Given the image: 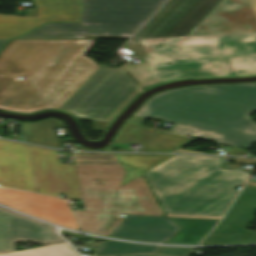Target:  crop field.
I'll use <instances>...</instances> for the list:
<instances>
[{
    "label": "crop field",
    "mask_w": 256,
    "mask_h": 256,
    "mask_svg": "<svg viewBox=\"0 0 256 256\" xmlns=\"http://www.w3.org/2000/svg\"><path fill=\"white\" fill-rule=\"evenodd\" d=\"M143 87L186 77L256 74V0H169L123 46Z\"/></svg>",
    "instance_id": "obj_1"
},
{
    "label": "crop field",
    "mask_w": 256,
    "mask_h": 256,
    "mask_svg": "<svg viewBox=\"0 0 256 256\" xmlns=\"http://www.w3.org/2000/svg\"><path fill=\"white\" fill-rule=\"evenodd\" d=\"M95 40H12L0 52V110L58 109L101 67L83 55Z\"/></svg>",
    "instance_id": "obj_2"
},
{
    "label": "crop field",
    "mask_w": 256,
    "mask_h": 256,
    "mask_svg": "<svg viewBox=\"0 0 256 256\" xmlns=\"http://www.w3.org/2000/svg\"><path fill=\"white\" fill-rule=\"evenodd\" d=\"M256 83L207 85L160 93L135 116L175 124L171 132L249 149L256 142Z\"/></svg>",
    "instance_id": "obj_3"
},
{
    "label": "crop field",
    "mask_w": 256,
    "mask_h": 256,
    "mask_svg": "<svg viewBox=\"0 0 256 256\" xmlns=\"http://www.w3.org/2000/svg\"><path fill=\"white\" fill-rule=\"evenodd\" d=\"M220 158L175 155L144 173L167 216L221 219L248 173L220 169Z\"/></svg>",
    "instance_id": "obj_4"
},
{
    "label": "crop field",
    "mask_w": 256,
    "mask_h": 256,
    "mask_svg": "<svg viewBox=\"0 0 256 256\" xmlns=\"http://www.w3.org/2000/svg\"><path fill=\"white\" fill-rule=\"evenodd\" d=\"M74 154L84 211L71 210L81 231L109 236L120 213L164 216L142 174L120 187L125 172L114 154Z\"/></svg>",
    "instance_id": "obj_5"
},
{
    "label": "crop field",
    "mask_w": 256,
    "mask_h": 256,
    "mask_svg": "<svg viewBox=\"0 0 256 256\" xmlns=\"http://www.w3.org/2000/svg\"><path fill=\"white\" fill-rule=\"evenodd\" d=\"M166 0H80L79 23H47L16 39H129Z\"/></svg>",
    "instance_id": "obj_6"
},
{
    "label": "crop field",
    "mask_w": 256,
    "mask_h": 256,
    "mask_svg": "<svg viewBox=\"0 0 256 256\" xmlns=\"http://www.w3.org/2000/svg\"><path fill=\"white\" fill-rule=\"evenodd\" d=\"M141 89L122 67L103 66L60 109L76 119H92L94 130H105Z\"/></svg>",
    "instance_id": "obj_7"
},
{
    "label": "crop field",
    "mask_w": 256,
    "mask_h": 256,
    "mask_svg": "<svg viewBox=\"0 0 256 256\" xmlns=\"http://www.w3.org/2000/svg\"><path fill=\"white\" fill-rule=\"evenodd\" d=\"M37 192L67 199H81L74 165L58 164L55 150L30 146Z\"/></svg>",
    "instance_id": "obj_8"
},
{
    "label": "crop field",
    "mask_w": 256,
    "mask_h": 256,
    "mask_svg": "<svg viewBox=\"0 0 256 256\" xmlns=\"http://www.w3.org/2000/svg\"><path fill=\"white\" fill-rule=\"evenodd\" d=\"M254 211H256V186L245 184L224 219L202 244L256 243V232L245 229L253 220Z\"/></svg>",
    "instance_id": "obj_9"
},
{
    "label": "crop field",
    "mask_w": 256,
    "mask_h": 256,
    "mask_svg": "<svg viewBox=\"0 0 256 256\" xmlns=\"http://www.w3.org/2000/svg\"><path fill=\"white\" fill-rule=\"evenodd\" d=\"M35 8L25 17L0 15V39H12L48 21H78L77 0H31Z\"/></svg>",
    "instance_id": "obj_10"
},
{
    "label": "crop field",
    "mask_w": 256,
    "mask_h": 256,
    "mask_svg": "<svg viewBox=\"0 0 256 256\" xmlns=\"http://www.w3.org/2000/svg\"><path fill=\"white\" fill-rule=\"evenodd\" d=\"M0 203L57 225L79 229L66 200L0 188Z\"/></svg>",
    "instance_id": "obj_11"
},
{
    "label": "crop field",
    "mask_w": 256,
    "mask_h": 256,
    "mask_svg": "<svg viewBox=\"0 0 256 256\" xmlns=\"http://www.w3.org/2000/svg\"><path fill=\"white\" fill-rule=\"evenodd\" d=\"M18 240L36 244L63 241L53 227L0 207V253L15 251Z\"/></svg>",
    "instance_id": "obj_12"
},
{
    "label": "crop field",
    "mask_w": 256,
    "mask_h": 256,
    "mask_svg": "<svg viewBox=\"0 0 256 256\" xmlns=\"http://www.w3.org/2000/svg\"><path fill=\"white\" fill-rule=\"evenodd\" d=\"M0 184L36 192L28 145L0 140Z\"/></svg>",
    "instance_id": "obj_13"
},
{
    "label": "crop field",
    "mask_w": 256,
    "mask_h": 256,
    "mask_svg": "<svg viewBox=\"0 0 256 256\" xmlns=\"http://www.w3.org/2000/svg\"><path fill=\"white\" fill-rule=\"evenodd\" d=\"M179 229L180 227L165 217L127 215L110 236L134 241L164 243Z\"/></svg>",
    "instance_id": "obj_14"
},
{
    "label": "crop field",
    "mask_w": 256,
    "mask_h": 256,
    "mask_svg": "<svg viewBox=\"0 0 256 256\" xmlns=\"http://www.w3.org/2000/svg\"><path fill=\"white\" fill-rule=\"evenodd\" d=\"M182 229L168 244H198L219 220H201L187 218H170Z\"/></svg>",
    "instance_id": "obj_15"
},
{
    "label": "crop field",
    "mask_w": 256,
    "mask_h": 256,
    "mask_svg": "<svg viewBox=\"0 0 256 256\" xmlns=\"http://www.w3.org/2000/svg\"><path fill=\"white\" fill-rule=\"evenodd\" d=\"M24 141L60 147L58 137L53 129L61 127L63 124L56 118L44 119L31 123L21 122Z\"/></svg>",
    "instance_id": "obj_16"
},
{
    "label": "crop field",
    "mask_w": 256,
    "mask_h": 256,
    "mask_svg": "<svg viewBox=\"0 0 256 256\" xmlns=\"http://www.w3.org/2000/svg\"><path fill=\"white\" fill-rule=\"evenodd\" d=\"M187 142V137L161 132L145 143V151L173 152Z\"/></svg>",
    "instance_id": "obj_17"
},
{
    "label": "crop field",
    "mask_w": 256,
    "mask_h": 256,
    "mask_svg": "<svg viewBox=\"0 0 256 256\" xmlns=\"http://www.w3.org/2000/svg\"><path fill=\"white\" fill-rule=\"evenodd\" d=\"M159 250L157 246L136 245L129 243L113 242L107 240L96 252L95 255H123L155 253Z\"/></svg>",
    "instance_id": "obj_18"
},
{
    "label": "crop field",
    "mask_w": 256,
    "mask_h": 256,
    "mask_svg": "<svg viewBox=\"0 0 256 256\" xmlns=\"http://www.w3.org/2000/svg\"><path fill=\"white\" fill-rule=\"evenodd\" d=\"M116 156L120 162L144 173L173 155L116 154Z\"/></svg>",
    "instance_id": "obj_19"
},
{
    "label": "crop field",
    "mask_w": 256,
    "mask_h": 256,
    "mask_svg": "<svg viewBox=\"0 0 256 256\" xmlns=\"http://www.w3.org/2000/svg\"><path fill=\"white\" fill-rule=\"evenodd\" d=\"M66 243L41 247L32 250L0 254V256H77L73 250L68 249Z\"/></svg>",
    "instance_id": "obj_20"
},
{
    "label": "crop field",
    "mask_w": 256,
    "mask_h": 256,
    "mask_svg": "<svg viewBox=\"0 0 256 256\" xmlns=\"http://www.w3.org/2000/svg\"><path fill=\"white\" fill-rule=\"evenodd\" d=\"M193 248H170L163 247L158 254L172 255V256H188Z\"/></svg>",
    "instance_id": "obj_21"
},
{
    "label": "crop field",
    "mask_w": 256,
    "mask_h": 256,
    "mask_svg": "<svg viewBox=\"0 0 256 256\" xmlns=\"http://www.w3.org/2000/svg\"><path fill=\"white\" fill-rule=\"evenodd\" d=\"M124 168V170L126 171L125 173V176H124V179H123V182H122V185L128 183L129 181L135 179L136 177L140 176L141 175V172L138 171V170H135V169H132L128 166H125L123 164H121ZM121 185V186H122Z\"/></svg>",
    "instance_id": "obj_22"
},
{
    "label": "crop field",
    "mask_w": 256,
    "mask_h": 256,
    "mask_svg": "<svg viewBox=\"0 0 256 256\" xmlns=\"http://www.w3.org/2000/svg\"><path fill=\"white\" fill-rule=\"evenodd\" d=\"M221 149L230 150L228 155H244L248 152L246 150H242V149H238V148H232V147H226V146H222ZM233 150H236V151L234 152Z\"/></svg>",
    "instance_id": "obj_23"
},
{
    "label": "crop field",
    "mask_w": 256,
    "mask_h": 256,
    "mask_svg": "<svg viewBox=\"0 0 256 256\" xmlns=\"http://www.w3.org/2000/svg\"><path fill=\"white\" fill-rule=\"evenodd\" d=\"M61 234L69 235V236H75V237H81L82 238V236L80 234H73V233L66 232V231H61Z\"/></svg>",
    "instance_id": "obj_24"
},
{
    "label": "crop field",
    "mask_w": 256,
    "mask_h": 256,
    "mask_svg": "<svg viewBox=\"0 0 256 256\" xmlns=\"http://www.w3.org/2000/svg\"><path fill=\"white\" fill-rule=\"evenodd\" d=\"M9 40H0V48Z\"/></svg>",
    "instance_id": "obj_25"
},
{
    "label": "crop field",
    "mask_w": 256,
    "mask_h": 256,
    "mask_svg": "<svg viewBox=\"0 0 256 256\" xmlns=\"http://www.w3.org/2000/svg\"><path fill=\"white\" fill-rule=\"evenodd\" d=\"M84 238H90V239L105 241L104 239H98V238H93V237H88V236H84Z\"/></svg>",
    "instance_id": "obj_26"
},
{
    "label": "crop field",
    "mask_w": 256,
    "mask_h": 256,
    "mask_svg": "<svg viewBox=\"0 0 256 256\" xmlns=\"http://www.w3.org/2000/svg\"><path fill=\"white\" fill-rule=\"evenodd\" d=\"M143 256H152V255H143Z\"/></svg>",
    "instance_id": "obj_27"
},
{
    "label": "crop field",
    "mask_w": 256,
    "mask_h": 256,
    "mask_svg": "<svg viewBox=\"0 0 256 256\" xmlns=\"http://www.w3.org/2000/svg\"><path fill=\"white\" fill-rule=\"evenodd\" d=\"M156 256H160V255H156Z\"/></svg>",
    "instance_id": "obj_28"
}]
</instances>
